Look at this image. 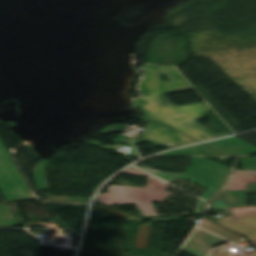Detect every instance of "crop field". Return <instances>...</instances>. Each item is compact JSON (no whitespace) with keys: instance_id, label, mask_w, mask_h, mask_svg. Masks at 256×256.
<instances>
[{"instance_id":"obj_1","label":"crop field","mask_w":256,"mask_h":256,"mask_svg":"<svg viewBox=\"0 0 256 256\" xmlns=\"http://www.w3.org/2000/svg\"><path fill=\"white\" fill-rule=\"evenodd\" d=\"M146 79L140 85L142 96L133 99L142 113L151 120L171 126L178 131L201 142L225 135L216 133L198 123V119L211 109L205 104L175 107L164 96L166 92L192 88L188 82L174 69H156L155 66L144 67ZM159 72H164L171 82L160 81ZM193 118V124L177 127L176 125Z\"/></svg>"},{"instance_id":"obj_2","label":"crop field","mask_w":256,"mask_h":256,"mask_svg":"<svg viewBox=\"0 0 256 256\" xmlns=\"http://www.w3.org/2000/svg\"><path fill=\"white\" fill-rule=\"evenodd\" d=\"M122 173L149 177L145 188L110 185L108 194L97 195V201L108 204L136 203L140 216H157L151 202L163 203L164 199L175 193L166 192L168 184L162 182L134 167H129Z\"/></svg>"},{"instance_id":"obj_3","label":"crop field","mask_w":256,"mask_h":256,"mask_svg":"<svg viewBox=\"0 0 256 256\" xmlns=\"http://www.w3.org/2000/svg\"><path fill=\"white\" fill-rule=\"evenodd\" d=\"M0 191L7 201L32 198L33 195L0 141Z\"/></svg>"},{"instance_id":"obj_4","label":"crop field","mask_w":256,"mask_h":256,"mask_svg":"<svg viewBox=\"0 0 256 256\" xmlns=\"http://www.w3.org/2000/svg\"><path fill=\"white\" fill-rule=\"evenodd\" d=\"M151 122L148 130L143 135L142 141L133 140V143L140 142L151 143L154 146L179 147L187 144L196 143V141L185 135L168 128L162 124L148 120L145 116L140 118Z\"/></svg>"},{"instance_id":"obj_5","label":"crop field","mask_w":256,"mask_h":256,"mask_svg":"<svg viewBox=\"0 0 256 256\" xmlns=\"http://www.w3.org/2000/svg\"><path fill=\"white\" fill-rule=\"evenodd\" d=\"M190 162L194 165L186 169L185 174L219 188L222 187L228 174V169L226 166L203 157H192Z\"/></svg>"},{"instance_id":"obj_6","label":"crop field","mask_w":256,"mask_h":256,"mask_svg":"<svg viewBox=\"0 0 256 256\" xmlns=\"http://www.w3.org/2000/svg\"><path fill=\"white\" fill-rule=\"evenodd\" d=\"M223 242L227 241L201 229H196L182 251L193 256H206L215 245Z\"/></svg>"},{"instance_id":"obj_7","label":"crop field","mask_w":256,"mask_h":256,"mask_svg":"<svg viewBox=\"0 0 256 256\" xmlns=\"http://www.w3.org/2000/svg\"><path fill=\"white\" fill-rule=\"evenodd\" d=\"M97 206L100 210V214H101L102 219H104L105 217H107L109 215V217H124V218H127V219L131 220V221L152 220V222H154V221H166L167 220V218L142 219V218H138V217L120 212L118 210L100 205V204H98ZM113 210H115L116 212L115 213L112 212ZM152 222L145 223V224L139 226L135 248L147 249Z\"/></svg>"},{"instance_id":"obj_8","label":"crop field","mask_w":256,"mask_h":256,"mask_svg":"<svg viewBox=\"0 0 256 256\" xmlns=\"http://www.w3.org/2000/svg\"><path fill=\"white\" fill-rule=\"evenodd\" d=\"M204 144L226 156L242 155L256 152V147L234 136Z\"/></svg>"},{"instance_id":"obj_9","label":"crop field","mask_w":256,"mask_h":256,"mask_svg":"<svg viewBox=\"0 0 256 256\" xmlns=\"http://www.w3.org/2000/svg\"><path fill=\"white\" fill-rule=\"evenodd\" d=\"M140 168L168 181V182H172V181H176V180H181V179H185L187 181H190L192 183H195L197 185H200L202 187H205L207 189H209L206 193H204L200 198L208 201L212 196L213 194L219 189L217 187H214L212 185H209L207 183H204L200 180H197L195 178H192L190 176H187L185 174H181V175H175V174H169V173H164V172H161V171H158V170H155L153 168H149V167H143V166H140Z\"/></svg>"},{"instance_id":"obj_10","label":"crop field","mask_w":256,"mask_h":256,"mask_svg":"<svg viewBox=\"0 0 256 256\" xmlns=\"http://www.w3.org/2000/svg\"><path fill=\"white\" fill-rule=\"evenodd\" d=\"M217 223L235 230L239 233H242L248 237V239L256 245V229L251 228L245 224H242L236 220H232L230 218L223 219L220 221H216Z\"/></svg>"},{"instance_id":"obj_11","label":"crop field","mask_w":256,"mask_h":256,"mask_svg":"<svg viewBox=\"0 0 256 256\" xmlns=\"http://www.w3.org/2000/svg\"><path fill=\"white\" fill-rule=\"evenodd\" d=\"M225 192L231 206H246V193H256V184H248V190Z\"/></svg>"},{"instance_id":"obj_12","label":"crop field","mask_w":256,"mask_h":256,"mask_svg":"<svg viewBox=\"0 0 256 256\" xmlns=\"http://www.w3.org/2000/svg\"><path fill=\"white\" fill-rule=\"evenodd\" d=\"M164 154H169V155H220L216 153L215 151L205 147V146H200V145H194L178 150H174L171 152H167Z\"/></svg>"},{"instance_id":"obj_13","label":"crop field","mask_w":256,"mask_h":256,"mask_svg":"<svg viewBox=\"0 0 256 256\" xmlns=\"http://www.w3.org/2000/svg\"><path fill=\"white\" fill-rule=\"evenodd\" d=\"M199 227H202L220 237H223V238H226L228 240H231V239H235V238H238V237H242L240 235H237L233 232H230L216 224H213L211 223L210 221L204 219L201 224L199 225Z\"/></svg>"},{"instance_id":"obj_14","label":"crop field","mask_w":256,"mask_h":256,"mask_svg":"<svg viewBox=\"0 0 256 256\" xmlns=\"http://www.w3.org/2000/svg\"><path fill=\"white\" fill-rule=\"evenodd\" d=\"M49 162L50 161L42 160L38 162L33 168L38 191L48 189L44 169L49 164Z\"/></svg>"},{"instance_id":"obj_15","label":"crop field","mask_w":256,"mask_h":256,"mask_svg":"<svg viewBox=\"0 0 256 256\" xmlns=\"http://www.w3.org/2000/svg\"><path fill=\"white\" fill-rule=\"evenodd\" d=\"M0 226L15 227L18 223L8 204L0 205Z\"/></svg>"},{"instance_id":"obj_16","label":"crop field","mask_w":256,"mask_h":256,"mask_svg":"<svg viewBox=\"0 0 256 256\" xmlns=\"http://www.w3.org/2000/svg\"><path fill=\"white\" fill-rule=\"evenodd\" d=\"M212 208H219V209H229L226 203V199L224 197L223 192L221 191L216 198L210 203Z\"/></svg>"},{"instance_id":"obj_17","label":"crop field","mask_w":256,"mask_h":256,"mask_svg":"<svg viewBox=\"0 0 256 256\" xmlns=\"http://www.w3.org/2000/svg\"><path fill=\"white\" fill-rule=\"evenodd\" d=\"M245 170L256 171V158L241 159Z\"/></svg>"},{"instance_id":"obj_18","label":"crop field","mask_w":256,"mask_h":256,"mask_svg":"<svg viewBox=\"0 0 256 256\" xmlns=\"http://www.w3.org/2000/svg\"><path fill=\"white\" fill-rule=\"evenodd\" d=\"M125 127L126 126H124V125L116 124V125L108 126L104 129H102L100 133L109 134L112 131L121 132Z\"/></svg>"},{"instance_id":"obj_19","label":"crop field","mask_w":256,"mask_h":256,"mask_svg":"<svg viewBox=\"0 0 256 256\" xmlns=\"http://www.w3.org/2000/svg\"><path fill=\"white\" fill-rule=\"evenodd\" d=\"M236 220L256 228V215H252V216H248V217H244Z\"/></svg>"},{"instance_id":"obj_20","label":"crop field","mask_w":256,"mask_h":256,"mask_svg":"<svg viewBox=\"0 0 256 256\" xmlns=\"http://www.w3.org/2000/svg\"><path fill=\"white\" fill-rule=\"evenodd\" d=\"M209 256H230V253L224 247H220L211 252Z\"/></svg>"},{"instance_id":"obj_21","label":"crop field","mask_w":256,"mask_h":256,"mask_svg":"<svg viewBox=\"0 0 256 256\" xmlns=\"http://www.w3.org/2000/svg\"><path fill=\"white\" fill-rule=\"evenodd\" d=\"M206 203L200 199H198L197 201V205H196V210L195 213L196 215H202L203 214V209L205 207Z\"/></svg>"},{"instance_id":"obj_22","label":"crop field","mask_w":256,"mask_h":256,"mask_svg":"<svg viewBox=\"0 0 256 256\" xmlns=\"http://www.w3.org/2000/svg\"><path fill=\"white\" fill-rule=\"evenodd\" d=\"M245 256H256V249L255 250H251L249 252H246Z\"/></svg>"},{"instance_id":"obj_23","label":"crop field","mask_w":256,"mask_h":256,"mask_svg":"<svg viewBox=\"0 0 256 256\" xmlns=\"http://www.w3.org/2000/svg\"><path fill=\"white\" fill-rule=\"evenodd\" d=\"M123 137H124V136H121L120 140L114 139L113 142L130 143V142H127V141H122L121 139H122Z\"/></svg>"},{"instance_id":"obj_24","label":"crop field","mask_w":256,"mask_h":256,"mask_svg":"<svg viewBox=\"0 0 256 256\" xmlns=\"http://www.w3.org/2000/svg\"><path fill=\"white\" fill-rule=\"evenodd\" d=\"M192 121H193V119H191V120H189V121H187V122H185V123H182V124H180V125H178V126L185 125V124H190V123H192Z\"/></svg>"}]
</instances>
